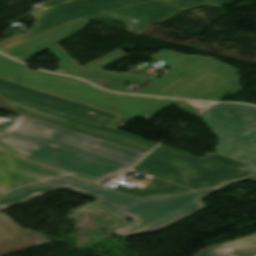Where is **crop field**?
Instances as JSON below:
<instances>
[{"label":"crop field","mask_w":256,"mask_h":256,"mask_svg":"<svg viewBox=\"0 0 256 256\" xmlns=\"http://www.w3.org/2000/svg\"><path fill=\"white\" fill-rule=\"evenodd\" d=\"M183 10L157 0L95 15L82 20L90 21L106 16L124 20L128 23L129 31L141 34L152 23L163 21Z\"/></svg>","instance_id":"5a996713"},{"label":"crop field","mask_w":256,"mask_h":256,"mask_svg":"<svg viewBox=\"0 0 256 256\" xmlns=\"http://www.w3.org/2000/svg\"><path fill=\"white\" fill-rule=\"evenodd\" d=\"M50 243L41 233L23 230L8 215L0 212V256Z\"/></svg>","instance_id":"3316defc"},{"label":"crop field","mask_w":256,"mask_h":256,"mask_svg":"<svg viewBox=\"0 0 256 256\" xmlns=\"http://www.w3.org/2000/svg\"><path fill=\"white\" fill-rule=\"evenodd\" d=\"M151 182L153 183V188L149 190L130 189L126 186H121V185L116 186L114 189L128 193V194H132L138 197H143V196H148L153 194H169V193H175L179 191L190 190L188 188L166 183L155 178H153Z\"/></svg>","instance_id":"d1516ede"},{"label":"crop field","mask_w":256,"mask_h":256,"mask_svg":"<svg viewBox=\"0 0 256 256\" xmlns=\"http://www.w3.org/2000/svg\"><path fill=\"white\" fill-rule=\"evenodd\" d=\"M26 66L0 55V77L16 82Z\"/></svg>","instance_id":"22f410ed"},{"label":"crop field","mask_w":256,"mask_h":256,"mask_svg":"<svg viewBox=\"0 0 256 256\" xmlns=\"http://www.w3.org/2000/svg\"><path fill=\"white\" fill-rule=\"evenodd\" d=\"M240 91L237 70L204 56H190L136 93L218 101Z\"/></svg>","instance_id":"412701ff"},{"label":"crop field","mask_w":256,"mask_h":256,"mask_svg":"<svg viewBox=\"0 0 256 256\" xmlns=\"http://www.w3.org/2000/svg\"><path fill=\"white\" fill-rule=\"evenodd\" d=\"M157 60L161 59L166 61L168 64L174 66L177 63H179L180 61L184 60L185 58H187L188 56L185 55H181L172 51H165V50H161L158 53H156L155 55L151 56Z\"/></svg>","instance_id":"5142ce71"},{"label":"crop field","mask_w":256,"mask_h":256,"mask_svg":"<svg viewBox=\"0 0 256 256\" xmlns=\"http://www.w3.org/2000/svg\"><path fill=\"white\" fill-rule=\"evenodd\" d=\"M244 177L225 181L215 187L192 190L176 195L152 196L137 199L124 193L106 189L72 177L22 188L12 194L0 198V211L26 200L64 188L97 199L95 203L123 213L134 221L115 233L122 236L134 235L160 230L205 207L201 199L219 189L240 181L249 180Z\"/></svg>","instance_id":"ac0d7876"},{"label":"crop field","mask_w":256,"mask_h":256,"mask_svg":"<svg viewBox=\"0 0 256 256\" xmlns=\"http://www.w3.org/2000/svg\"><path fill=\"white\" fill-rule=\"evenodd\" d=\"M162 1L189 9L193 6L200 5V4H207V5H214V6L221 7L234 0H162Z\"/></svg>","instance_id":"cbeb9de0"},{"label":"crop field","mask_w":256,"mask_h":256,"mask_svg":"<svg viewBox=\"0 0 256 256\" xmlns=\"http://www.w3.org/2000/svg\"><path fill=\"white\" fill-rule=\"evenodd\" d=\"M202 116L219 137L218 154L245 163L239 170L256 175V107L216 104Z\"/></svg>","instance_id":"f4fd0767"},{"label":"crop field","mask_w":256,"mask_h":256,"mask_svg":"<svg viewBox=\"0 0 256 256\" xmlns=\"http://www.w3.org/2000/svg\"><path fill=\"white\" fill-rule=\"evenodd\" d=\"M87 23L88 22L86 21L77 20L65 24L34 38L26 40L22 43L9 47L2 52L26 62L30 60L33 55L48 48L60 61V68L66 74L82 78L137 84H142L152 78L149 76L109 73L98 70L99 68L129 54L120 50L107 55L83 68L79 67L78 64L72 58H70L56 43L82 30V28Z\"/></svg>","instance_id":"dd49c442"},{"label":"crop field","mask_w":256,"mask_h":256,"mask_svg":"<svg viewBox=\"0 0 256 256\" xmlns=\"http://www.w3.org/2000/svg\"><path fill=\"white\" fill-rule=\"evenodd\" d=\"M196 256H256V235L204 249Z\"/></svg>","instance_id":"28ad6ade"},{"label":"crop field","mask_w":256,"mask_h":256,"mask_svg":"<svg viewBox=\"0 0 256 256\" xmlns=\"http://www.w3.org/2000/svg\"><path fill=\"white\" fill-rule=\"evenodd\" d=\"M248 176H249V177H253V178H256V176H254V175H250V174H248Z\"/></svg>","instance_id":"4a817a6b"},{"label":"crop field","mask_w":256,"mask_h":256,"mask_svg":"<svg viewBox=\"0 0 256 256\" xmlns=\"http://www.w3.org/2000/svg\"><path fill=\"white\" fill-rule=\"evenodd\" d=\"M0 108L22 115L0 130V197L68 175L100 184L156 145L105 127L116 115L3 79Z\"/></svg>","instance_id":"8a807250"},{"label":"crop field","mask_w":256,"mask_h":256,"mask_svg":"<svg viewBox=\"0 0 256 256\" xmlns=\"http://www.w3.org/2000/svg\"><path fill=\"white\" fill-rule=\"evenodd\" d=\"M189 103H191L192 105H194L202 110L211 104V103H194V102H189Z\"/></svg>","instance_id":"733c2abd"},{"label":"crop field","mask_w":256,"mask_h":256,"mask_svg":"<svg viewBox=\"0 0 256 256\" xmlns=\"http://www.w3.org/2000/svg\"><path fill=\"white\" fill-rule=\"evenodd\" d=\"M203 158H206V159H209V160H212V161H215V162H218V163H221V164H224V165L236 168V169H238L240 166L243 165V163H240V162H237V161L231 160L229 158H226V157L214 154V153H210V152H208L206 155H204Z\"/></svg>","instance_id":"d9b57169"},{"label":"crop field","mask_w":256,"mask_h":256,"mask_svg":"<svg viewBox=\"0 0 256 256\" xmlns=\"http://www.w3.org/2000/svg\"><path fill=\"white\" fill-rule=\"evenodd\" d=\"M145 0H49L30 14L36 27L23 35L18 33L0 42V50L70 22Z\"/></svg>","instance_id":"d8731c3e"},{"label":"crop field","mask_w":256,"mask_h":256,"mask_svg":"<svg viewBox=\"0 0 256 256\" xmlns=\"http://www.w3.org/2000/svg\"><path fill=\"white\" fill-rule=\"evenodd\" d=\"M18 83L120 115L108 125L115 129L135 116L148 119L169 105L184 104L180 109L192 115L201 111L182 101L109 93L78 79L30 69Z\"/></svg>","instance_id":"34b2d1b8"},{"label":"crop field","mask_w":256,"mask_h":256,"mask_svg":"<svg viewBox=\"0 0 256 256\" xmlns=\"http://www.w3.org/2000/svg\"><path fill=\"white\" fill-rule=\"evenodd\" d=\"M133 170L191 188L246 176L226 166L160 145Z\"/></svg>","instance_id":"e52e79f7"}]
</instances>
